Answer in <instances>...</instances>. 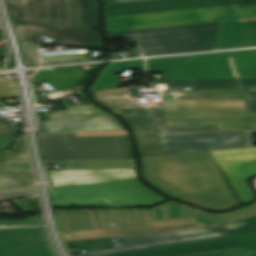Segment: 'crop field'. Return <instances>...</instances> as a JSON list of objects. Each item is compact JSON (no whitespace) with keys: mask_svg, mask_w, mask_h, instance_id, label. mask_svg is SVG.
<instances>
[{"mask_svg":"<svg viewBox=\"0 0 256 256\" xmlns=\"http://www.w3.org/2000/svg\"><path fill=\"white\" fill-rule=\"evenodd\" d=\"M22 129L12 127V122H0V138L16 137ZM5 161H29L24 136L10 152H0V201L34 195L32 172H11Z\"/></svg>","mask_w":256,"mask_h":256,"instance_id":"crop-field-11","label":"crop field"},{"mask_svg":"<svg viewBox=\"0 0 256 256\" xmlns=\"http://www.w3.org/2000/svg\"><path fill=\"white\" fill-rule=\"evenodd\" d=\"M18 96L15 86L7 79H0V98Z\"/></svg>","mask_w":256,"mask_h":256,"instance_id":"crop-field-30","label":"crop field"},{"mask_svg":"<svg viewBox=\"0 0 256 256\" xmlns=\"http://www.w3.org/2000/svg\"><path fill=\"white\" fill-rule=\"evenodd\" d=\"M152 0H144V1H134V2H124V3H114V4H109L111 6H116V5H124V4H132V3H140V2H148Z\"/></svg>","mask_w":256,"mask_h":256,"instance_id":"crop-field-36","label":"crop field"},{"mask_svg":"<svg viewBox=\"0 0 256 256\" xmlns=\"http://www.w3.org/2000/svg\"><path fill=\"white\" fill-rule=\"evenodd\" d=\"M34 225H42L39 216L32 217L24 221H18V222L0 221V228L1 227L34 226Z\"/></svg>","mask_w":256,"mask_h":256,"instance_id":"crop-field-31","label":"crop field"},{"mask_svg":"<svg viewBox=\"0 0 256 256\" xmlns=\"http://www.w3.org/2000/svg\"><path fill=\"white\" fill-rule=\"evenodd\" d=\"M40 127L121 123L117 118L39 121Z\"/></svg>","mask_w":256,"mask_h":256,"instance_id":"crop-field-24","label":"crop field"},{"mask_svg":"<svg viewBox=\"0 0 256 256\" xmlns=\"http://www.w3.org/2000/svg\"><path fill=\"white\" fill-rule=\"evenodd\" d=\"M21 42L24 57H25V63L28 67H36L38 66L37 62V44L34 43H27V42Z\"/></svg>","mask_w":256,"mask_h":256,"instance_id":"crop-field-28","label":"crop field"},{"mask_svg":"<svg viewBox=\"0 0 256 256\" xmlns=\"http://www.w3.org/2000/svg\"><path fill=\"white\" fill-rule=\"evenodd\" d=\"M235 247L256 250V233L189 242L107 256H182Z\"/></svg>","mask_w":256,"mask_h":256,"instance_id":"crop-field-13","label":"crop field"},{"mask_svg":"<svg viewBox=\"0 0 256 256\" xmlns=\"http://www.w3.org/2000/svg\"><path fill=\"white\" fill-rule=\"evenodd\" d=\"M70 170L134 168L132 159L69 161Z\"/></svg>","mask_w":256,"mask_h":256,"instance_id":"crop-field-22","label":"crop field"},{"mask_svg":"<svg viewBox=\"0 0 256 256\" xmlns=\"http://www.w3.org/2000/svg\"><path fill=\"white\" fill-rule=\"evenodd\" d=\"M235 17L225 7L182 10L105 19L107 32L178 26L232 20Z\"/></svg>","mask_w":256,"mask_h":256,"instance_id":"crop-field-10","label":"crop field"},{"mask_svg":"<svg viewBox=\"0 0 256 256\" xmlns=\"http://www.w3.org/2000/svg\"><path fill=\"white\" fill-rule=\"evenodd\" d=\"M76 136L127 135L125 130L76 132Z\"/></svg>","mask_w":256,"mask_h":256,"instance_id":"crop-field-32","label":"crop field"},{"mask_svg":"<svg viewBox=\"0 0 256 256\" xmlns=\"http://www.w3.org/2000/svg\"><path fill=\"white\" fill-rule=\"evenodd\" d=\"M238 19L256 17V3L229 6Z\"/></svg>","mask_w":256,"mask_h":256,"instance_id":"crop-field-27","label":"crop field"},{"mask_svg":"<svg viewBox=\"0 0 256 256\" xmlns=\"http://www.w3.org/2000/svg\"><path fill=\"white\" fill-rule=\"evenodd\" d=\"M161 83L192 90L163 95L165 103L143 105H134L123 88L93 93L129 120L141 156L253 146L256 78L159 80L148 87Z\"/></svg>","mask_w":256,"mask_h":256,"instance_id":"crop-field-1","label":"crop field"},{"mask_svg":"<svg viewBox=\"0 0 256 256\" xmlns=\"http://www.w3.org/2000/svg\"><path fill=\"white\" fill-rule=\"evenodd\" d=\"M52 199L59 207L153 206L164 199L138 179L53 188Z\"/></svg>","mask_w":256,"mask_h":256,"instance_id":"crop-field-4","label":"crop field"},{"mask_svg":"<svg viewBox=\"0 0 256 256\" xmlns=\"http://www.w3.org/2000/svg\"><path fill=\"white\" fill-rule=\"evenodd\" d=\"M91 70L46 69L38 70L33 83L46 80L56 90L80 86L89 76Z\"/></svg>","mask_w":256,"mask_h":256,"instance_id":"crop-field-19","label":"crop field"},{"mask_svg":"<svg viewBox=\"0 0 256 256\" xmlns=\"http://www.w3.org/2000/svg\"><path fill=\"white\" fill-rule=\"evenodd\" d=\"M8 6L33 7V0H7Z\"/></svg>","mask_w":256,"mask_h":256,"instance_id":"crop-field-34","label":"crop field"},{"mask_svg":"<svg viewBox=\"0 0 256 256\" xmlns=\"http://www.w3.org/2000/svg\"><path fill=\"white\" fill-rule=\"evenodd\" d=\"M191 256H256V251L245 250L241 248L217 251L212 253L191 255Z\"/></svg>","mask_w":256,"mask_h":256,"instance_id":"crop-field-29","label":"crop field"},{"mask_svg":"<svg viewBox=\"0 0 256 256\" xmlns=\"http://www.w3.org/2000/svg\"><path fill=\"white\" fill-rule=\"evenodd\" d=\"M256 47V21L238 20L222 23L218 41L214 50Z\"/></svg>","mask_w":256,"mask_h":256,"instance_id":"crop-field-18","label":"crop field"},{"mask_svg":"<svg viewBox=\"0 0 256 256\" xmlns=\"http://www.w3.org/2000/svg\"><path fill=\"white\" fill-rule=\"evenodd\" d=\"M256 214V203L224 214H210L190 206L169 202L158 208L136 210H58L60 232L188 217L208 226Z\"/></svg>","mask_w":256,"mask_h":256,"instance_id":"crop-field-3","label":"crop field"},{"mask_svg":"<svg viewBox=\"0 0 256 256\" xmlns=\"http://www.w3.org/2000/svg\"><path fill=\"white\" fill-rule=\"evenodd\" d=\"M256 2V0H153V2L110 7L105 5L106 18L192 9L201 7L232 5Z\"/></svg>","mask_w":256,"mask_h":256,"instance_id":"crop-field-15","label":"crop field"},{"mask_svg":"<svg viewBox=\"0 0 256 256\" xmlns=\"http://www.w3.org/2000/svg\"><path fill=\"white\" fill-rule=\"evenodd\" d=\"M38 135L44 160L132 158L127 136L75 137V132Z\"/></svg>","mask_w":256,"mask_h":256,"instance_id":"crop-field-6","label":"crop field"},{"mask_svg":"<svg viewBox=\"0 0 256 256\" xmlns=\"http://www.w3.org/2000/svg\"><path fill=\"white\" fill-rule=\"evenodd\" d=\"M19 40L30 41L32 35L53 36V44L99 49L97 31L90 28L77 32H59L32 24L17 26Z\"/></svg>","mask_w":256,"mask_h":256,"instance_id":"crop-field-16","label":"crop field"},{"mask_svg":"<svg viewBox=\"0 0 256 256\" xmlns=\"http://www.w3.org/2000/svg\"><path fill=\"white\" fill-rule=\"evenodd\" d=\"M235 77H256V49L227 52Z\"/></svg>","mask_w":256,"mask_h":256,"instance_id":"crop-field-21","label":"crop field"},{"mask_svg":"<svg viewBox=\"0 0 256 256\" xmlns=\"http://www.w3.org/2000/svg\"><path fill=\"white\" fill-rule=\"evenodd\" d=\"M122 68L144 69V60L107 63L90 88L91 92L117 87V76L114 74Z\"/></svg>","mask_w":256,"mask_h":256,"instance_id":"crop-field-20","label":"crop field"},{"mask_svg":"<svg viewBox=\"0 0 256 256\" xmlns=\"http://www.w3.org/2000/svg\"><path fill=\"white\" fill-rule=\"evenodd\" d=\"M250 232H256V216L210 228L113 237L110 240H116L113 242L116 248L82 252L78 256H102Z\"/></svg>","mask_w":256,"mask_h":256,"instance_id":"crop-field-7","label":"crop field"},{"mask_svg":"<svg viewBox=\"0 0 256 256\" xmlns=\"http://www.w3.org/2000/svg\"><path fill=\"white\" fill-rule=\"evenodd\" d=\"M70 119L113 117L94 105L67 106L62 100Z\"/></svg>","mask_w":256,"mask_h":256,"instance_id":"crop-field-23","label":"crop field"},{"mask_svg":"<svg viewBox=\"0 0 256 256\" xmlns=\"http://www.w3.org/2000/svg\"><path fill=\"white\" fill-rule=\"evenodd\" d=\"M124 1H134V0H104L106 3H114V2H124Z\"/></svg>","mask_w":256,"mask_h":256,"instance_id":"crop-field-37","label":"crop field"},{"mask_svg":"<svg viewBox=\"0 0 256 256\" xmlns=\"http://www.w3.org/2000/svg\"><path fill=\"white\" fill-rule=\"evenodd\" d=\"M202 227H208V226L198 223L196 221L190 220L188 218H182V219L152 222V223H142V224L122 225V226H116V227L71 231V232L61 233V235L64 241H70V240L96 238V237H104V236L177 230V229H187V228H202Z\"/></svg>","mask_w":256,"mask_h":256,"instance_id":"crop-field-14","label":"crop field"},{"mask_svg":"<svg viewBox=\"0 0 256 256\" xmlns=\"http://www.w3.org/2000/svg\"><path fill=\"white\" fill-rule=\"evenodd\" d=\"M124 129L122 124L41 128L42 132Z\"/></svg>","mask_w":256,"mask_h":256,"instance_id":"crop-field-25","label":"crop field"},{"mask_svg":"<svg viewBox=\"0 0 256 256\" xmlns=\"http://www.w3.org/2000/svg\"><path fill=\"white\" fill-rule=\"evenodd\" d=\"M217 164L210 151L142 157L143 174L155 187L175 198L224 210L239 202Z\"/></svg>","mask_w":256,"mask_h":256,"instance_id":"crop-field-2","label":"crop field"},{"mask_svg":"<svg viewBox=\"0 0 256 256\" xmlns=\"http://www.w3.org/2000/svg\"><path fill=\"white\" fill-rule=\"evenodd\" d=\"M41 60L42 66L90 61L88 55L82 54L41 57Z\"/></svg>","mask_w":256,"mask_h":256,"instance_id":"crop-field-26","label":"crop field"},{"mask_svg":"<svg viewBox=\"0 0 256 256\" xmlns=\"http://www.w3.org/2000/svg\"><path fill=\"white\" fill-rule=\"evenodd\" d=\"M12 171L30 170L29 162H7Z\"/></svg>","mask_w":256,"mask_h":256,"instance_id":"crop-field-33","label":"crop field"},{"mask_svg":"<svg viewBox=\"0 0 256 256\" xmlns=\"http://www.w3.org/2000/svg\"><path fill=\"white\" fill-rule=\"evenodd\" d=\"M222 22L107 33L109 38L133 36L143 56L213 50Z\"/></svg>","mask_w":256,"mask_h":256,"instance_id":"crop-field-5","label":"crop field"},{"mask_svg":"<svg viewBox=\"0 0 256 256\" xmlns=\"http://www.w3.org/2000/svg\"><path fill=\"white\" fill-rule=\"evenodd\" d=\"M253 20H256V18H252V19H243V20H239V21L241 22V21H253Z\"/></svg>","mask_w":256,"mask_h":256,"instance_id":"crop-field-39","label":"crop field"},{"mask_svg":"<svg viewBox=\"0 0 256 256\" xmlns=\"http://www.w3.org/2000/svg\"><path fill=\"white\" fill-rule=\"evenodd\" d=\"M242 203L253 200V192L247 185L251 175L256 174V147L211 151Z\"/></svg>","mask_w":256,"mask_h":256,"instance_id":"crop-field-12","label":"crop field"},{"mask_svg":"<svg viewBox=\"0 0 256 256\" xmlns=\"http://www.w3.org/2000/svg\"><path fill=\"white\" fill-rule=\"evenodd\" d=\"M52 187L137 178L136 169L49 171Z\"/></svg>","mask_w":256,"mask_h":256,"instance_id":"crop-field-17","label":"crop field"},{"mask_svg":"<svg viewBox=\"0 0 256 256\" xmlns=\"http://www.w3.org/2000/svg\"><path fill=\"white\" fill-rule=\"evenodd\" d=\"M131 52H132V54H133L134 57H140V55H139L137 49H133V50H131Z\"/></svg>","mask_w":256,"mask_h":256,"instance_id":"crop-field-38","label":"crop field"},{"mask_svg":"<svg viewBox=\"0 0 256 256\" xmlns=\"http://www.w3.org/2000/svg\"><path fill=\"white\" fill-rule=\"evenodd\" d=\"M147 67L163 79L235 78L226 52L148 59Z\"/></svg>","mask_w":256,"mask_h":256,"instance_id":"crop-field-9","label":"crop field"},{"mask_svg":"<svg viewBox=\"0 0 256 256\" xmlns=\"http://www.w3.org/2000/svg\"><path fill=\"white\" fill-rule=\"evenodd\" d=\"M15 25L37 23L58 30L72 31L94 26V0H34V8L8 7Z\"/></svg>","mask_w":256,"mask_h":256,"instance_id":"crop-field-8","label":"crop field"},{"mask_svg":"<svg viewBox=\"0 0 256 256\" xmlns=\"http://www.w3.org/2000/svg\"><path fill=\"white\" fill-rule=\"evenodd\" d=\"M16 138L0 139V150L9 149Z\"/></svg>","mask_w":256,"mask_h":256,"instance_id":"crop-field-35","label":"crop field"}]
</instances>
